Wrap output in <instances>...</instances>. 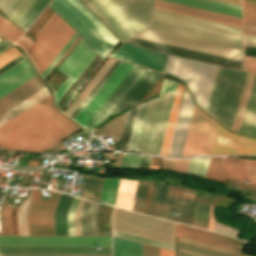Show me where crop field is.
I'll return each instance as SVG.
<instances>
[{
    "label": "crop field",
    "instance_id": "crop-field-60",
    "mask_svg": "<svg viewBox=\"0 0 256 256\" xmlns=\"http://www.w3.org/2000/svg\"><path fill=\"white\" fill-rule=\"evenodd\" d=\"M214 231L229 234V235H232L234 237H236V235L239 233V230L227 227L225 225H222V224H219V223H216V222H215Z\"/></svg>",
    "mask_w": 256,
    "mask_h": 256
},
{
    "label": "crop field",
    "instance_id": "crop-field-43",
    "mask_svg": "<svg viewBox=\"0 0 256 256\" xmlns=\"http://www.w3.org/2000/svg\"><path fill=\"white\" fill-rule=\"evenodd\" d=\"M210 205L195 203L193 225L207 229Z\"/></svg>",
    "mask_w": 256,
    "mask_h": 256
},
{
    "label": "crop field",
    "instance_id": "crop-field-73",
    "mask_svg": "<svg viewBox=\"0 0 256 256\" xmlns=\"http://www.w3.org/2000/svg\"><path fill=\"white\" fill-rule=\"evenodd\" d=\"M243 2H247V3H255V4H256V0H243Z\"/></svg>",
    "mask_w": 256,
    "mask_h": 256
},
{
    "label": "crop field",
    "instance_id": "crop-field-12",
    "mask_svg": "<svg viewBox=\"0 0 256 256\" xmlns=\"http://www.w3.org/2000/svg\"><path fill=\"white\" fill-rule=\"evenodd\" d=\"M222 159L223 157L210 158V162H209V166H208L205 178L256 190V188L249 187V186L256 187V160L235 159V158L225 157L222 170L220 173V177L219 179H217L220 166L222 163ZM225 180L240 183V184H245L249 186L235 184V183L227 182ZM247 180L250 183H247L246 182Z\"/></svg>",
    "mask_w": 256,
    "mask_h": 256
},
{
    "label": "crop field",
    "instance_id": "crop-field-49",
    "mask_svg": "<svg viewBox=\"0 0 256 256\" xmlns=\"http://www.w3.org/2000/svg\"><path fill=\"white\" fill-rule=\"evenodd\" d=\"M11 206L2 205L0 208L1 235H11L9 210Z\"/></svg>",
    "mask_w": 256,
    "mask_h": 256
},
{
    "label": "crop field",
    "instance_id": "crop-field-37",
    "mask_svg": "<svg viewBox=\"0 0 256 256\" xmlns=\"http://www.w3.org/2000/svg\"><path fill=\"white\" fill-rule=\"evenodd\" d=\"M146 104H147V102L139 105L137 108L132 132H131V136H130V140H129V144H128V148H127L128 150L135 151V149H136Z\"/></svg>",
    "mask_w": 256,
    "mask_h": 256
},
{
    "label": "crop field",
    "instance_id": "crop-field-66",
    "mask_svg": "<svg viewBox=\"0 0 256 256\" xmlns=\"http://www.w3.org/2000/svg\"><path fill=\"white\" fill-rule=\"evenodd\" d=\"M227 187L232 188V189H235V190H239V191H242V192H246V193H249V194L256 195V192H255V191H251V190H247V189H243V188H239V187H235V186H231V185H227ZM241 194H242L243 196H245L246 198H248V199H251V200H255V201H256V197H254V196H250V195L243 194V193H241Z\"/></svg>",
    "mask_w": 256,
    "mask_h": 256
},
{
    "label": "crop field",
    "instance_id": "crop-field-5",
    "mask_svg": "<svg viewBox=\"0 0 256 256\" xmlns=\"http://www.w3.org/2000/svg\"><path fill=\"white\" fill-rule=\"evenodd\" d=\"M48 6L76 30L102 60L118 42L77 0H52Z\"/></svg>",
    "mask_w": 256,
    "mask_h": 256
},
{
    "label": "crop field",
    "instance_id": "crop-field-67",
    "mask_svg": "<svg viewBox=\"0 0 256 256\" xmlns=\"http://www.w3.org/2000/svg\"><path fill=\"white\" fill-rule=\"evenodd\" d=\"M244 45L256 46V36L244 35Z\"/></svg>",
    "mask_w": 256,
    "mask_h": 256
},
{
    "label": "crop field",
    "instance_id": "crop-field-2",
    "mask_svg": "<svg viewBox=\"0 0 256 256\" xmlns=\"http://www.w3.org/2000/svg\"><path fill=\"white\" fill-rule=\"evenodd\" d=\"M0 246H111V237H0ZM0 247V256H111V247Z\"/></svg>",
    "mask_w": 256,
    "mask_h": 256
},
{
    "label": "crop field",
    "instance_id": "crop-field-45",
    "mask_svg": "<svg viewBox=\"0 0 256 256\" xmlns=\"http://www.w3.org/2000/svg\"><path fill=\"white\" fill-rule=\"evenodd\" d=\"M136 108L137 107L127 111V113H126L123 129H122V133H121L120 149L127 148V144H128Z\"/></svg>",
    "mask_w": 256,
    "mask_h": 256
},
{
    "label": "crop field",
    "instance_id": "crop-field-10",
    "mask_svg": "<svg viewBox=\"0 0 256 256\" xmlns=\"http://www.w3.org/2000/svg\"><path fill=\"white\" fill-rule=\"evenodd\" d=\"M112 229L173 245L175 223L158 220L115 208L111 217Z\"/></svg>",
    "mask_w": 256,
    "mask_h": 256
},
{
    "label": "crop field",
    "instance_id": "crop-field-14",
    "mask_svg": "<svg viewBox=\"0 0 256 256\" xmlns=\"http://www.w3.org/2000/svg\"><path fill=\"white\" fill-rule=\"evenodd\" d=\"M133 67L120 61L74 120L85 127Z\"/></svg>",
    "mask_w": 256,
    "mask_h": 256
},
{
    "label": "crop field",
    "instance_id": "crop-field-56",
    "mask_svg": "<svg viewBox=\"0 0 256 256\" xmlns=\"http://www.w3.org/2000/svg\"><path fill=\"white\" fill-rule=\"evenodd\" d=\"M166 188H167V185H163L160 183L155 216L161 217V218L163 215Z\"/></svg>",
    "mask_w": 256,
    "mask_h": 256
},
{
    "label": "crop field",
    "instance_id": "crop-field-13",
    "mask_svg": "<svg viewBox=\"0 0 256 256\" xmlns=\"http://www.w3.org/2000/svg\"><path fill=\"white\" fill-rule=\"evenodd\" d=\"M216 124L194 106L182 156L209 154Z\"/></svg>",
    "mask_w": 256,
    "mask_h": 256
},
{
    "label": "crop field",
    "instance_id": "crop-field-57",
    "mask_svg": "<svg viewBox=\"0 0 256 256\" xmlns=\"http://www.w3.org/2000/svg\"><path fill=\"white\" fill-rule=\"evenodd\" d=\"M21 0H0V9L8 17Z\"/></svg>",
    "mask_w": 256,
    "mask_h": 256
},
{
    "label": "crop field",
    "instance_id": "crop-field-48",
    "mask_svg": "<svg viewBox=\"0 0 256 256\" xmlns=\"http://www.w3.org/2000/svg\"><path fill=\"white\" fill-rule=\"evenodd\" d=\"M112 233L116 237H120V238H124V239H128V240H132V241H137V242H141V243H145V244L154 245V246H158V247L173 250L172 245H168V244H164V243L144 239V238H141V237H137V236H133V235H129V234L113 231V230H112Z\"/></svg>",
    "mask_w": 256,
    "mask_h": 256
},
{
    "label": "crop field",
    "instance_id": "crop-field-51",
    "mask_svg": "<svg viewBox=\"0 0 256 256\" xmlns=\"http://www.w3.org/2000/svg\"><path fill=\"white\" fill-rule=\"evenodd\" d=\"M176 239L178 242L210 249L213 251H217V252H221V253H225V254H229V255H233V256H248V255H244L241 253H237V252H233V251H229V250H225V249H221V248H217V247H213V246H209V245H205V244H201V243H197V242H193V241H189V240H185V239H181V238H177V237H176Z\"/></svg>",
    "mask_w": 256,
    "mask_h": 256
},
{
    "label": "crop field",
    "instance_id": "crop-field-41",
    "mask_svg": "<svg viewBox=\"0 0 256 256\" xmlns=\"http://www.w3.org/2000/svg\"><path fill=\"white\" fill-rule=\"evenodd\" d=\"M31 191L32 190L30 189L27 190L26 195L21 204V207L18 211L19 235H28L26 211L29 206L30 200L32 198L30 197Z\"/></svg>",
    "mask_w": 256,
    "mask_h": 256
},
{
    "label": "crop field",
    "instance_id": "crop-field-9",
    "mask_svg": "<svg viewBox=\"0 0 256 256\" xmlns=\"http://www.w3.org/2000/svg\"><path fill=\"white\" fill-rule=\"evenodd\" d=\"M216 67L170 56L165 73L185 81L196 103L206 110Z\"/></svg>",
    "mask_w": 256,
    "mask_h": 256
},
{
    "label": "crop field",
    "instance_id": "crop-field-55",
    "mask_svg": "<svg viewBox=\"0 0 256 256\" xmlns=\"http://www.w3.org/2000/svg\"><path fill=\"white\" fill-rule=\"evenodd\" d=\"M79 200V198H73V201L67 214L68 235H75L73 214L75 212Z\"/></svg>",
    "mask_w": 256,
    "mask_h": 256
},
{
    "label": "crop field",
    "instance_id": "crop-field-47",
    "mask_svg": "<svg viewBox=\"0 0 256 256\" xmlns=\"http://www.w3.org/2000/svg\"><path fill=\"white\" fill-rule=\"evenodd\" d=\"M147 187L148 185L137 184L132 210L143 213Z\"/></svg>",
    "mask_w": 256,
    "mask_h": 256
},
{
    "label": "crop field",
    "instance_id": "crop-field-28",
    "mask_svg": "<svg viewBox=\"0 0 256 256\" xmlns=\"http://www.w3.org/2000/svg\"><path fill=\"white\" fill-rule=\"evenodd\" d=\"M114 59L108 58L107 61L102 65V67L98 70V72L93 76V78L89 81V83L84 87V89L80 92V94L75 98V100L71 103V105L64 112L69 117L75 111V109L80 105V103L84 100V98L88 95V93L92 90V88L97 84V82L101 79V77L105 74V72L110 68V66L114 63Z\"/></svg>",
    "mask_w": 256,
    "mask_h": 256
},
{
    "label": "crop field",
    "instance_id": "crop-field-7",
    "mask_svg": "<svg viewBox=\"0 0 256 256\" xmlns=\"http://www.w3.org/2000/svg\"><path fill=\"white\" fill-rule=\"evenodd\" d=\"M176 84L163 79L159 98L148 101L136 151L159 154Z\"/></svg>",
    "mask_w": 256,
    "mask_h": 256
},
{
    "label": "crop field",
    "instance_id": "crop-field-46",
    "mask_svg": "<svg viewBox=\"0 0 256 256\" xmlns=\"http://www.w3.org/2000/svg\"><path fill=\"white\" fill-rule=\"evenodd\" d=\"M78 129H80V128L77 127L74 124V125H72L68 129H66L65 131L61 132L60 134H58L57 136H55L54 138H52L51 140H49L45 144L41 145L40 147H38L37 149H35L32 152H36V153L41 154L44 151H46L47 149H49L52 145L56 144L57 142H59L60 140L64 139L65 137H67L68 135L72 134L73 132H75Z\"/></svg>",
    "mask_w": 256,
    "mask_h": 256
},
{
    "label": "crop field",
    "instance_id": "crop-field-71",
    "mask_svg": "<svg viewBox=\"0 0 256 256\" xmlns=\"http://www.w3.org/2000/svg\"><path fill=\"white\" fill-rule=\"evenodd\" d=\"M8 46H10V44L4 42V41H0V51L4 50L5 48H7Z\"/></svg>",
    "mask_w": 256,
    "mask_h": 256
},
{
    "label": "crop field",
    "instance_id": "crop-field-8",
    "mask_svg": "<svg viewBox=\"0 0 256 256\" xmlns=\"http://www.w3.org/2000/svg\"><path fill=\"white\" fill-rule=\"evenodd\" d=\"M35 74L27 59H23L13 67L0 74V97L19 86ZM44 84L36 75L16 89L0 98V115L22 102L35 92L42 89Z\"/></svg>",
    "mask_w": 256,
    "mask_h": 256
},
{
    "label": "crop field",
    "instance_id": "crop-field-34",
    "mask_svg": "<svg viewBox=\"0 0 256 256\" xmlns=\"http://www.w3.org/2000/svg\"><path fill=\"white\" fill-rule=\"evenodd\" d=\"M47 95H49V93L45 87L42 90H40L39 92L32 95L31 97H29L28 99H26L25 101H23L22 103L18 104L17 106H15L11 110H9L8 112H6L5 114H3L2 116H0V125L5 123L6 121L10 120L17 114L21 113L28 107L32 106L33 104H35L42 98L46 97Z\"/></svg>",
    "mask_w": 256,
    "mask_h": 256
},
{
    "label": "crop field",
    "instance_id": "crop-field-68",
    "mask_svg": "<svg viewBox=\"0 0 256 256\" xmlns=\"http://www.w3.org/2000/svg\"><path fill=\"white\" fill-rule=\"evenodd\" d=\"M21 48H23L26 52V50L28 49V47L31 45V43H29L28 41H26L25 39H23L22 37L16 42Z\"/></svg>",
    "mask_w": 256,
    "mask_h": 256
},
{
    "label": "crop field",
    "instance_id": "crop-field-11",
    "mask_svg": "<svg viewBox=\"0 0 256 256\" xmlns=\"http://www.w3.org/2000/svg\"><path fill=\"white\" fill-rule=\"evenodd\" d=\"M74 33L75 32L56 15L39 38L37 37L38 39L30 46L26 53L31 58L40 75Z\"/></svg>",
    "mask_w": 256,
    "mask_h": 256
},
{
    "label": "crop field",
    "instance_id": "crop-field-27",
    "mask_svg": "<svg viewBox=\"0 0 256 256\" xmlns=\"http://www.w3.org/2000/svg\"><path fill=\"white\" fill-rule=\"evenodd\" d=\"M238 132L256 136V74Z\"/></svg>",
    "mask_w": 256,
    "mask_h": 256
},
{
    "label": "crop field",
    "instance_id": "crop-field-70",
    "mask_svg": "<svg viewBox=\"0 0 256 256\" xmlns=\"http://www.w3.org/2000/svg\"><path fill=\"white\" fill-rule=\"evenodd\" d=\"M243 21H247V22H256V17H247V16H243Z\"/></svg>",
    "mask_w": 256,
    "mask_h": 256
},
{
    "label": "crop field",
    "instance_id": "crop-field-19",
    "mask_svg": "<svg viewBox=\"0 0 256 256\" xmlns=\"http://www.w3.org/2000/svg\"><path fill=\"white\" fill-rule=\"evenodd\" d=\"M210 154L256 155V139L233 134L218 124Z\"/></svg>",
    "mask_w": 256,
    "mask_h": 256
},
{
    "label": "crop field",
    "instance_id": "crop-field-36",
    "mask_svg": "<svg viewBox=\"0 0 256 256\" xmlns=\"http://www.w3.org/2000/svg\"><path fill=\"white\" fill-rule=\"evenodd\" d=\"M49 2L50 0H36L17 25L27 30Z\"/></svg>",
    "mask_w": 256,
    "mask_h": 256
},
{
    "label": "crop field",
    "instance_id": "crop-field-30",
    "mask_svg": "<svg viewBox=\"0 0 256 256\" xmlns=\"http://www.w3.org/2000/svg\"><path fill=\"white\" fill-rule=\"evenodd\" d=\"M98 203L85 201L80 215L81 235H95L94 216Z\"/></svg>",
    "mask_w": 256,
    "mask_h": 256
},
{
    "label": "crop field",
    "instance_id": "crop-field-3",
    "mask_svg": "<svg viewBox=\"0 0 256 256\" xmlns=\"http://www.w3.org/2000/svg\"><path fill=\"white\" fill-rule=\"evenodd\" d=\"M148 29L243 50L240 28L157 9Z\"/></svg>",
    "mask_w": 256,
    "mask_h": 256
},
{
    "label": "crop field",
    "instance_id": "crop-field-25",
    "mask_svg": "<svg viewBox=\"0 0 256 256\" xmlns=\"http://www.w3.org/2000/svg\"><path fill=\"white\" fill-rule=\"evenodd\" d=\"M155 8L242 28L241 19L157 0Z\"/></svg>",
    "mask_w": 256,
    "mask_h": 256
},
{
    "label": "crop field",
    "instance_id": "crop-field-15",
    "mask_svg": "<svg viewBox=\"0 0 256 256\" xmlns=\"http://www.w3.org/2000/svg\"><path fill=\"white\" fill-rule=\"evenodd\" d=\"M136 38L243 61V51L146 30Z\"/></svg>",
    "mask_w": 256,
    "mask_h": 256
},
{
    "label": "crop field",
    "instance_id": "crop-field-4",
    "mask_svg": "<svg viewBox=\"0 0 256 256\" xmlns=\"http://www.w3.org/2000/svg\"><path fill=\"white\" fill-rule=\"evenodd\" d=\"M122 41L149 27L155 0H81Z\"/></svg>",
    "mask_w": 256,
    "mask_h": 256
},
{
    "label": "crop field",
    "instance_id": "crop-field-6",
    "mask_svg": "<svg viewBox=\"0 0 256 256\" xmlns=\"http://www.w3.org/2000/svg\"><path fill=\"white\" fill-rule=\"evenodd\" d=\"M246 71L217 67L206 112L232 129L241 98Z\"/></svg>",
    "mask_w": 256,
    "mask_h": 256
},
{
    "label": "crop field",
    "instance_id": "crop-field-26",
    "mask_svg": "<svg viewBox=\"0 0 256 256\" xmlns=\"http://www.w3.org/2000/svg\"><path fill=\"white\" fill-rule=\"evenodd\" d=\"M241 18V6L216 0H163Z\"/></svg>",
    "mask_w": 256,
    "mask_h": 256
},
{
    "label": "crop field",
    "instance_id": "crop-field-62",
    "mask_svg": "<svg viewBox=\"0 0 256 256\" xmlns=\"http://www.w3.org/2000/svg\"><path fill=\"white\" fill-rule=\"evenodd\" d=\"M243 15L256 16V5L243 3Z\"/></svg>",
    "mask_w": 256,
    "mask_h": 256
},
{
    "label": "crop field",
    "instance_id": "crop-field-29",
    "mask_svg": "<svg viewBox=\"0 0 256 256\" xmlns=\"http://www.w3.org/2000/svg\"><path fill=\"white\" fill-rule=\"evenodd\" d=\"M72 198V196L61 194L54 213L55 235H67L66 214Z\"/></svg>",
    "mask_w": 256,
    "mask_h": 256
},
{
    "label": "crop field",
    "instance_id": "crop-field-24",
    "mask_svg": "<svg viewBox=\"0 0 256 256\" xmlns=\"http://www.w3.org/2000/svg\"><path fill=\"white\" fill-rule=\"evenodd\" d=\"M193 103L190 96L184 90L180 107H179V114L169 150L170 156H181L184 141L187 133V128L190 120V115L192 111Z\"/></svg>",
    "mask_w": 256,
    "mask_h": 256
},
{
    "label": "crop field",
    "instance_id": "crop-field-33",
    "mask_svg": "<svg viewBox=\"0 0 256 256\" xmlns=\"http://www.w3.org/2000/svg\"><path fill=\"white\" fill-rule=\"evenodd\" d=\"M113 256H142V244L113 237Z\"/></svg>",
    "mask_w": 256,
    "mask_h": 256
},
{
    "label": "crop field",
    "instance_id": "crop-field-69",
    "mask_svg": "<svg viewBox=\"0 0 256 256\" xmlns=\"http://www.w3.org/2000/svg\"><path fill=\"white\" fill-rule=\"evenodd\" d=\"M160 256H173V252L160 249Z\"/></svg>",
    "mask_w": 256,
    "mask_h": 256
},
{
    "label": "crop field",
    "instance_id": "crop-field-1",
    "mask_svg": "<svg viewBox=\"0 0 256 256\" xmlns=\"http://www.w3.org/2000/svg\"><path fill=\"white\" fill-rule=\"evenodd\" d=\"M72 124L53 108L49 95L0 127V147L32 151Z\"/></svg>",
    "mask_w": 256,
    "mask_h": 256
},
{
    "label": "crop field",
    "instance_id": "crop-field-54",
    "mask_svg": "<svg viewBox=\"0 0 256 256\" xmlns=\"http://www.w3.org/2000/svg\"><path fill=\"white\" fill-rule=\"evenodd\" d=\"M141 156L133 154H124L120 168L138 169Z\"/></svg>",
    "mask_w": 256,
    "mask_h": 256
},
{
    "label": "crop field",
    "instance_id": "crop-field-17",
    "mask_svg": "<svg viewBox=\"0 0 256 256\" xmlns=\"http://www.w3.org/2000/svg\"><path fill=\"white\" fill-rule=\"evenodd\" d=\"M59 192H50L48 202L33 199L27 211L29 235H54L53 213Z\"/></svg>",
    "mask_w": 256,
    "mask_h": 256
},
{
    "label": "crop field",
    "instance_id": "crop-field-58",
    "mask_svg": "<svg viewBox=\"0 0 256 256\" xmlns=\"http://www.w3.org/2000/svg\"><path fill=\"white\" fill-rule=\"evenodd\" d=\"M19 54L21 53L18 52L14 48V46L0 54V67L9 62L10 60H12L13 58H15L16 56H18Z\"/></svg>",
    "mask_w": 256,
    "mask_h": 256
},
{
    "label": "crop field",
    "instance_id": "crop-field-72",
    "mask_svg": "<svg viewBox=\"0 0 256 256\" xmlns=\"http://www.w3.org/2000/svg\"><path fill=\"white\" fill-rule=\"evenodd\" d=\"M221 1H225V2H230V3H235V4L241 5V0H221Z\"/></svg>",
    "mask_w": 256,
    "mask_h": 256
},
{
    "label": "crop field",
    "instance_id": "crop-field-20",
    "mask_svg": "<svg viewBox=\"0 0 256 256\" xmlns=\"http://www.w3.org/2000/svg\"><path fill=\"white\" fill-rule=\"evenodd\" d=\"M127 42L135 44V45H139V46H142L145 48H149V49H152L155 51L175 55V56L200 60V61H204V62L224 65V66L243 70V62L237 61V60L227 59V58H223V57H218V56L209 55V54H205V53H200V52H195V51L186 50V49H182V48L172 47V46L163 45V44L154 43V42L145 41V40H140V39H136V38H133Z\"/></svg>",
    "mask_w": 256,
    "mask_h": 256
},
{
    "label": "crop field",
    "instance_id": "crop-field-22",
    "mask_svg": "<svg viewBox=\"0 0 256 256\" xmlns=\"http://www.w3.org/2000/svg\"><path fill=\"white\" fill-rule=\"evenodd\" d=\"M177 237L237 251L243 252L246 243L229 238L225 235L177 224Z\"/></svg>",
    "mask_w": 256,
    "mask_h": 256
},
{
    "label": "crop field",
    "instance_id": "crop-field-59",
    "mask_svg": "<svg viewBox=\"0 0 256 256\" xmlns=\"http://www.w3.org/2000/svg\"><path fill=\"white\" fill-rule=\"evenodd\" d=\"M101 62V60L99 59L98 62L93 66V68L89 71V73L84 77V79L80 82V84L75 88V90L70 94V96L66 99V101L61 105V107L59 108L60 110H63L64 107L68 104V102L72 99V97L76 94V92L80 89V87L83 85V83L87 80V78L91 75V73L95 70V68L99 65V63ZM101 64V63H100Z\"/></svg>",
    "mask_w": 256,
    "mask_h": 256
},
{
    "label": "crop field",
    "instance_id": "crop-field-32",
    "mask_svg": "<svg viewBox=\"0 0 256 256\" xmlns=\"http://www.w3.org/2000/svg\"><path fill=\"white\" fill-rule=\"evenodd\" d=\"M136 180L119 181L115 206L131 210Z\"/></svg>",
    "mask_w": 256,
    "mask_h": 256
},
{
    "label": "crop field",
    "instance_id": "crop-field-18",
    "mask_svg": "<svg viewBox=\"0 0 256 256\" xmlns=\"http://www.w3.org/2000/svg\"><path fill=\"white\" fill-rule=\"evenodd\" d=\"M147 71L148 69L135 66L85 128L93 133L94 127L114 113Z\"/></svg>",
    "mask_w": 256,
    "mask_h": 256
},
{
    "label": "crop field",
    "instance_id": "crop-field-74",
    "mask_svg": "<svg viewBox=\"0 0 256 256\" xmlns=\"http://www.w3.org/2000/svg\"><path fill=\"white\" fill-rule=\"evenodd\" d=\"M4 17L0 14V21L3 19Z\"/></svg>",
    "mask_w": 256,
    "mask_h": 256
},
{
    "label": "crop field",
    "instance_id": "crop-field-50",
    "mask_svg": "<svg viewBox=\"0 0 256 256\" xmlns=\"http://www.w3.org/2000/svg\"><path fill=\"white\" fill-rule=\"evenodd\" d=\"M34 1L35 0H22L8 18L17 24Z\"/></svg>",
    "mask_w": 256,
    "mask_h": 256
},
{
    "label": "crop field",
    "instance_id": "crop-field-23",
    "mask_svg": "<svg viewBox=\"0 0 256 256\" xmlns=\"http://www.w3.org/2000/svg\"><path fill=\"white\" fill-rule=\"evenodd\" d=\"M193 204V194L168 189L163 218L192 225Z\"/></svg>",
    "mask_w": 256,
    "mask_h": 256
},
{
    "label": "crop field",
    "instance_id": "crop-field-40",
    "mask_svg": "<svg viewBox=\"0 0 256 256\" xmlns=\"http://www.w3.org/2000/svg\"><path fill=\"white\" fill-rule=\"evenodd\" d=\"M177 249L180 250V256H228L225 254L205 250L202 248L182 244L177 242Z\"/></svg>",
    "mask_w": 256,
    "mask_h": 256
},
{
    "label": "crop field",
    "instance_id": "crop-field-42",
    "mask_svg": "<svg viewBox=\"0 0 256 256\" xmlns=\"http://www.w3.org/2000/svg\"><path fill=\"white\" fill-rule=\"evenodd\" d=\"M189 159H166L162 158L161 168L164 171L185 174Z\"/></svg>",
    "mask_w": 256,
    "mask_h": 256
},
{
    "label": "crop field",
    "instance_id": "crop-field-52",
    "mask_svg": "<svg viewBox=\"0 0 256 256\" xmlns=\"http://www.w3.org/2000/svg\"><path fill=\"white\" fill-rule=\"evenodd\" d=\"M78 36L79 35L75 33L74 36L69 40V42L61 50V52L56 56V58L52 61V63L48 66V68L43 72V74L41 75L43 79L51 71V69L56 65V63L61 59V57L65 54V52L70 48V46L75 42Z\"/></svg>",
    "mask_w": 256,
    "mask_h": 256
},
{
    "label": "crop field",
    "instance_id": "crop-field-16",
    "mask_svg": "<svg viewBox=\"0 0 256 256\" xmlns=\"http://www.w3.org/2000/svg\"><path fill=\"white\" fill-rule=\"evenodd\" d=\"M93 52L81 39L72 52L59 66L58 70H60L68 78L54 92L56 103L94 59L96 55Z\"/></svg>",
    "mask_w": 256,
    "mask_h": 256
},
{
    "label": "crop field",
    "instance_id": "crop-field-65",
    "mask_svg": "<svg viewBox=\"0 0 256 256\" xmlns=\"http://www.w3.org/2000/svg\"><path fill=\"white\" fill-rule=\"evenodd\" d=\"M245 70L256 71V58L245 57Z\"/></svg>",
    "mask_w": 256,
    "mask_h": 256
},
{
    "label": "crop field",
    "instance_id": "crop-field-53",
    "mask_svg": "<svg viewBox=\"0 0 256 256\" xmlns=\"http://www.w3.org/2000/svg\"><path fill=\"white\" fill-rule=\"evenodd\" d=\"M118 60L111 66V68L106 72V74L102 77V79L98 82V84L94 87V89L89 93V95L85 98V100L81 103V105L76 109V111L72 114L71 118H75V116L79 113V111L83 108V106L87 103V101L91 98V96L95 93L98 87L102 84V82L106 79V77L110 74V72L114 69V67L118 64ZM120 63V62H119ZM116 68V67H115Z\"/></svg>",
    "mask_w": 256,
    "mask_h": 256
},
{
    "label": "crop field",
    "instance_id": "crop-field-44",
    "mask_svg": "<svg viewBox=\"0 0 256 256\" xmlns=\"http://www.w3.org/2000/svg\"><path fill=\"white\" fill-rule=\"evenodd\" d=\"M23 33L5 18L0 22V36L11 42H15Z\"/></svg>",
    "mask_w": 256,
    "mask_h": 256
},
{
    "label": "crop field",
    "instance_id": "crop-field-61",
    "mask_svg": "<svg viewBox=\"0 0 256 256\" xmlns=\"http://www.w3.org/2000/svg\"><path fill=\"white\" fill-rule=\"evenodd\" d=\"M84 201L85 200H83V199L80 200L79 205L74 214L76 235H80L79 215H80L81 209L83 207Z\"/></svg>",
    "mask_w": 256,
    "mask_h": 256
},
{
    "label": "crop field",
    "instance_id": "crop-field-38",
    "mask_svg": "<svg viewBox=\"0 0 256 256\" xmlns=\"http://www.w3.org/2000/svg\"><path fill=\"white\" fill-rule=\"evenodd\" d=\"M118 181L119 179H115V180L104 179L101 199H100L101 202H105L114 206L117 187H118Z\"/></svg>",
    "mask_w": 256,
    "mask_h": 256
},
{
    "label": "crop field",
    "instance_id": "crop-field-21",
    "mask_svg": "<svg viewBox=\"0 0 256 256\" xmlns=\"http://www.w3.org/2000/svg\"><path fill=\"white\" fill-rule=\"evenodd\" d=\"M165 54L145 50L127 43L118 47L109 57L144 66L157 71H164L167 60Z\"/></svg>",
    "mask_w": 256,
    "mask_h": 256
},
{
    "label": "crop field",
    "instance_id": "crop-field-39",
    "mask_svg": "<svg viewBox=\"0 0 256 256\" xmlns=\"http://www.w3.org/2000/svg\"><path fill=\"white\" fill-rule=\"evenodd\" d=\"M209 158L210 157H198L190 159L186 174L204 178Z\"/></svg>",
    "mask_w": 256,
    "mask_h": 256
},
{
    "label": "crop field",
    "instance_id": "crop-field-31",
    "mask_svg": "<svg viewBox=\"0 0 256 256\" xmlns=\"http://www.w3.org/2000/svg\"><path fill=\"white\" fill-rule=\"evenodd\" d=\"M182 90H183V88L181 87L180 84H178L176 93H175V97H174V101H173V105H172V109H171V113H170V117H169V121H168V125H167V129H166V133H165V137H164V141H163V145H162V149H161V153H160L162 155H167V153H168Z\"/></svg>",
    "mask_w": 256,
    "mask_h": 256
},
{
    "label": "crop field",
    "instance_id": "crop-field-63",
    "mask_svg": "<svg viewBox=\"0 0 256 256\" xmlns=\"http://www.w3.org/2000/svg\"><path fill=\"white\" fill-rule=\"evenodd\" d=\"M143 256H159V249L143 244Z\"/></svg>",
    "mask_w": 256,
    "mask_h": 256
},
{
    "label": "crop field",
    "instance_id": "crop-field-35",
    "mask_svg": "<svg viewBox=\"0 0 256 256\" xmlns=\"http://www.w3.org/2000/svg\"><path fill=\"white\" fill-rule=\"evenodd\" d=\"M102 181L100 178L84 176L81 196L99 201Z\"/></svg>",
    "mask_w": 256,
    "mask_h": 256
},
{
    "label": "crop field",
    "instance_id": "crop-field-64",
    "mask_svg": "<svg viewBox=\"0 0 256 256\" xmlns=\"http://www.w3.org/2000/svg\"><path fill=\"white\" fill-rule=\"evenodd\" d=\"M244 34L256 35V23L243 22Z\"/></svg>",
    "mask_w": 256,
    "mask_h": 256
}]
</instances>
